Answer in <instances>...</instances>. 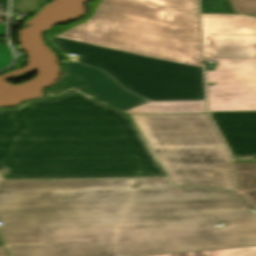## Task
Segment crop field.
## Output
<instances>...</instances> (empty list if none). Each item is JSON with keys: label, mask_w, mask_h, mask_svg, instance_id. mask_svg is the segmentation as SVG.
Masks as SVG:
<instances>
[{"label": "crop field", "mask_w": 256, "mask_h": 256, "mask_svg": "<svg viewBox=\"0 0 256 256\" xmlns=\"http://www.w3.org/2000/svg\"><path fill=\"white\" fill-rule=\"evenodd\" d=\"M121 190L0 191L11 256H147L256 245L236 192L171 184Z\"/></svg>", "instance_id": "obj_1"}, {"label": "crop field", "mask_w": 256, "mask_h": 256, "mask_svg": "<svg viewBox=\"0 0 256 256\" xmlns=\"http://www.w3.org/2000/svg\"><path fill=\"white\" fill-rule=\"evenodd\" d=\"M52 39L70 60L151 100L204 99L197 0H103L89 21Z\"/></svg>", "instance_id": "obj_2"}, {"label": "crop field", "mask_w": 256, "mask_h": 256, "mask_svg": "<svg viewBox=\"0 0 256 256\" xmlns=\"http://www.w3.org/2000/svg\"><path fill=\"white\" fill-rule=\"evenodd\" d=\"M2 179L167 177L127 116L78 92L9 110Z\"/></svg>", "instance_id": "obj_3"}, {"label": "crop field", "mask_w": 256, "mask_h": 256, "mask_svg": "<svg viewBox=\"0 0 256 256\" xmlns=\"http://www.w3.org/2000/svg\"><path fill=\"white\" fill-rule=\"evenodd\" d=\"M129 117L175 185L233 189L228 152L206 114Z\"/></svg>", "instance_id": "obj_4"}, {"label": "crop field", "mask_w": 256, "mask_h": 256, "mask_svg": "<svg viewBox=\"0 0 256 256\" xmlns=\"http://www.w3.org/2000/svg\"><path fill=\"white\" fill-rule=\"evenodd\" d=\"M218 62L216 71H207L210 112L256 111V59L205 58Z\"/></svg>", "instance_id": "obj_5"}, {"label": "crop field", "mask_w": 256, "mask_h": 256, "mask_svg": "<svg viewBox=\"0 0 256 256\" xmlns=\"http://www.w3.org/2000/svg\"><path fill=\"white\" fill-rule=\"evenodd\" d=\"M205 57L256 58V18L201 14Z\"/></svg>", "instance_id": "obj_6"}, {"label": "crop field", "mask_w": 256, "mask_h": 256, "mask_svg": "<svg viewBox=\"0 0 256 256\" xmlns=\"http://www.w3.org/2000/svg\"><path fill=\"white\" fill-rule=\"evenodd\" d=\"M65 76L57 88L48 91L58 93L67 88L93 96L121 111L147 102V100L127 91L103 71L77 63L65 62Z\"/></svg>", "instance_id": "obj_7"}, {"label": "crop field", "mask_w": 256, "mask_h": 256, "mask_svg": "<svg viewBox=\"0 0 256 256\" xmlns=\"http://www.w3.org/2000/svg\"><path fill=\"white\" fill-rule=\"evenodd\" d=\"M234 155L256 154V112L210 113Z\"/></svg>", "instance_id": "obj_8"}, {"label": "crop field", "mask_w": 256, "mask_h": 256, "mask_svg": "<svg viewBox=\"0 0 256 256\" xmlns=\"http://www.w3.org/2000/svg\"><path fill=\"white\" fill-rule=\"evenodd\" d=\"M169 183L166 179L133 180H78V181H5L0 190H49V189H120L142 188Z\"/></svg>", "instance_id": "obj_9"}, {"label": "crop field", "mask_w": 256, "mask_h": 256, "mask_svg": "<svg viewBox=\"0 0 256 256\" xmlns=\"http://www.w3.org/2000/svg\"><path fill=\"white\" fill-rule=\"evenodd\" d=\"M124 113H205V107L204 101L148 102Z\"/></svg>", "instance_id": "obj_10"}, {"label": "crop field", "mask_w": 256, "mask_h": 256, "mask_svg": "<svg viewBox=\"0 0 256 256\" xmlns=\"http://www.w3.org/2000/svg\"><path fill=\"white\" fill-rule=\"evenodd\" d=\"M239 191L256 188V163H235Z\"/></svg>", "instance_id": "obj_11"}, {"label": "crop field", "mask_w": 256, "mask_h": 256, "mask_svg": "<svg viewBox=\"0 0 256 256\" xmlns=\"http://www.w3.org/2000/svg\"><path fill=\"white\" fill-rule=\"evenodd\" d=\"M157 256H256V246L198 251Z\"/></svg>", "instance_id": "obj_12"}, {"label": "crop field", "mask_w": 256, "mask_h": 256, "mask_svg": "<svg viewBox=\"0 0 256 256\" xmlns=\"http://www.w3.org/2000/svg\"><path fill=\"white\" fill-rule=\"evenodd\" d=\"M201 13L233 14L227 0H200Z\"/></svg>", "instance_id": "obj_13"}, {"label": "crop field", "mask_w": 256, "mask_h": 256, "mask_svg": "<svg viewBox=\"0 0 256 256\" xmlns=\"http://www.w3.org/2000/svg\"><path fill=\"white\" fill-rule=\"evenodd\" d=\"M100 2H101V0H95L93 3L89 4L90 12H89V14H88L86 17H84L82 20L77 21V22L72 23V24H69V25H67V26H56V27H54V28H52V29L46 31V33H45L44 35L53 37V36H56V35H58V34L64 32V31H66V30H68V29H70V28L76 26V25H79V24H82V23L86 22V21L89 20V19L91 18V16L94 14V12H95V10H96V8L98 7V5H99Z\"/></svg>", "instance_id": "obj_14"}, {"label": "crop field", "mask_w": 256, "mask_h": 256, "mask_svg": "<svg viewBox=\"0 0 256 256\" xmlns=\"http://www.w3.org/2000/svg\"><path fill=\"white\" fill-rule=\"evenodd\" d=\"M236 13L256 14V0H229Z\"/></svg>", "instance_id": "obj_15"}, {"label": "crop field", "mask_w": 256, "mask_h": 256, "mask_svg": "<svg viewBox=\"0 0 256 256\" xmlns=\"http://www.w3.org/2000/svg\"><path fill=\"white\" fill-rule=\"evenodd\" d=\"M48 0H13L12 9L34 11Z\"/></svg>", "instance_id": "obj_16"}, {"label": "crop field", "mask_w": 256, "mask_h": 256, "mask_svg": "<svg viewBox=\"0 0 256 256\" xmlns=\"http://www.w3.org/2000/svg\"><path fill=\"white\" fill-rule=\"evenodd\" d=\"M12 54L8 47L0 45V70L11 64Z\"/></svg>", "instance_id": "obj_17"}, {"label": "crop field", "mask_w": 256, "mask_h": 256, "mask_svg": "<svg viewBox=\"0 0 256 256\" xmlns=\"http://www.w3.org/2000/svg\"><path fill=\"white\" fill-rule=\"evenodd\" d=\"M245 198H247L253 205L256 206V191L243 192L241 193Z\"/></svg>", "instance_id": "obj_18"}, {"label": "crop field", "mask_w": 256, "mask_h": 256, "mask_svg": "<svg viewBox=\"0 0 256 256\" xmlns=\"http://www.w3.org/2000/svg\"><path fill=\"white\" fill-rule=\"evenodd\" d=\"M8 110H0V124L4 119L5 115L7 114Z\"/></svg>", "instance_id": "obj_19"}, {"label": "crop field", "mask_w": 256, "mask_h": 256, "mask_svg": "<svg viewBox=\"0 0 256 256\" xmlns=\"http://www.w3.org/2000/svg\"><path fill=\"white\" fill-rule=\"evenodd\" d=\"M0 256H7L3 247H0Z\"/></svg>", "instance_id": "obj_20"}, {"label": "crop field", "mask_w": 256, "mask_h": 256, "mask_svg": "<svg viewBox=\"0 0 256 256\" xmlns=\"http://www.w3.org/2000/svg\"><path fill=\"white\" fill-rule=\"evenodd\" d=\"M0 35H5V27L0 26Z\"/></svg>", "instance_id": "obj_21"}, {"label": "crop field", "mask_w": 256, "mask_h": 256, "mask_svg": "<svg viewBox=\"0 0 256 256\" xmlns=\"http://www.w3.org/2000/svg\"><path fill=\"white\" fill-rule=\"evenodd\" d=\"M6 2L7 0H0V3H2V8H6Z\"/></svg>", "instance_id": "obj_22"}, {"label": "crop field", "mask_w": 256, "mask_h": 256, "mask_svg": "<svg viewBox=\"0 0 256 256\" xmlns=\"http://www.w3.org/2000/svg\"><path fill=\"white\" fill-rule=\"evenodd\" d=\"M0 245H3L1 239H0Z\"/></svg>", "instance_id": "obj_23"}, {"label": "crop field", "mask_w": 256, "mask_h": 256, "mask_svg": "<svg viewBox=\"0 0 256 256\" xmlns=\"http://www.w3.org/2000/svg\"><path fill=\"white\" fill-rule=\"evenodd\" d=\"M132 195H133V194H132ZM131 198H132V196H131ZM131 198H130V200H131ZM130 200H129V201H130Z\"/></svg>", "instance_id": "obj_24"}, {"label": "crop field", "mask_w": 256, "mask_h": 256, "mask_svg": "<svg viewBox=\"0 0 256 256\" xmlns=\"http://www.w3.org/2000/svg\"><path fill=\"white\" fill-rule=\"evenodd\" d=\"M252 16H256V15H252Z\"/></svg>", "instance_id": "obj_25"}]
</instances>
